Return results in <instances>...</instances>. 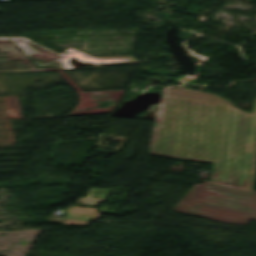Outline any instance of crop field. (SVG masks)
<instances>
[{
  "mask_svg": "<svg viewBox=\"0 0 256 256\" xmlns=\"http://www.w3.org/2000/svg\"><path fill=\"white\" fill-rule=\"evenodd\" d=\"M172 210L246 224L249 219L256 220V194L202 183L195 185Z\"/></svg>",
  "mask_w": 256,
  "mask_h": 256,
  "instance_id": "obj_1",
  "label": "crop field"
},
{
  "mask_svg": "<svg viewBox=\"0 0 256 256\" xmlns=\"http://www.w3.org/2000/svg\"><path fill=\"white\" fill-rule=\"evenodd\" d=\"M166 104L183 106L191 109L207 110V111H215V112H223V113H227L228 111V108H225V107H219V106H213V105H207V104H201V103H195V102H189V101H183V100H177V99H171V98L167 99ZM238 116L239 114L237 113L228 164L213 162L215 155H212V154L157 147L159 135L161 132L160 131L161 126H154L153 128L149 154L175 157V158H181L186 160L213 162L214 165H213L212 174H211V182H208V183L256 193L255 191H252L254 180L241 178L245 156H246L249 133L247 135V141H246V147L244 152L240 178L227 176Z\"/></svg>",
  "mask_w": 256,
  "mask_h": 256,
  "instance_id": "obj_2",
  "label": "crop field"
},
{
  "mask_svg": "<svg viewBox=\"0 0 256 256\" xmlns=\"http://www.w3.org/2000/svg\"><path fill=\"white\" fill-rule=\"evenodd\" d=\"M2 1H25V0H0V2Z\"/></svg>",
  "mask_w": 256,
  "mask_h": 256,
  "instance_id": "obj_3",
  "label": "crop field"
},
{
  "mask_svg": "<svg viewBox=\"0 0 256 256\" xmlns=\"http://www.w3.org/2000/svg\"><path fill=\"white\" fill-rule=\"evenodd\" d=\"M1 11V10H0Z\"/></svg>",
  "mask_w": 256,
  "mask_h": 256,
  "instance_id": "obj_4",
  "label": "crop field"
}]
</instances>
